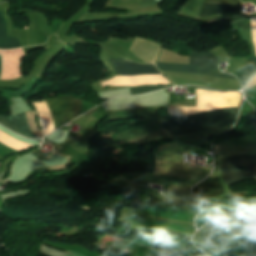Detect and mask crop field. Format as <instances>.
I'll return each instance as SVG.
<instances>
[{
	"instance_id": "8a807250",
	"label": "crop field",
	"mask_w": 256,
	"mask_h": 256,
	"mask_svg": "<svg viewBox=\"0 0 256 256\" xmlns=\"http://www.w3.org/2000/svg\"><path fill=\"white\" fill-rule=\"evenodd\" d=\"M237 108H219L178 119H163L162 126L170 135L189 134L201 130L231 125L235 119Z\"/></svg>"
},
{
	"instance_id": "ac0d7876",
	"label": "crop field",
	"mask_w": 256,
	"mask_h": 256,
	"mask_svg": "<svg viewBox=\"0 0 256 256\" xmlns=\"http://www.w3.org/2000/svg\"><path fill=\"white\" fill-rule=\"evenodd\" d=\"M218 63H219V59L208 52L198 53V52L192 51L190 54V64L216 67ZM156 66L160 70L181 71V72H191V73H197V69H198V66L161 63V62H157ZM213 67L199 66L198 73L208 75V76H214V77L235 79L233 76L221 73L219 72L218 68H213Z\"/></svg>"
},
{
	"instance_id": "34b2d1b8",
	"label": "crop field",
	"mask_w": 256,
	"mask_h": 256,
	"mask_svg": "<svg viewBox=\"0 0 256 256\" xmlns=\"http://www.w3.org/2000/svg\"><path fill=\"white\" fill-rule=\"evenodd\" d=\"M217 149V146H216ZM216 153V150H215ZM254 166H256V155H253ZM243 167L240 171L237 167ZM221 180L227 186L244 179H252L253 161L252 155L220 158Z\"/></svg>"
},
{
	"instance_id": "412701ff",
	"label": "crop field",
	"mask_w": 256,
	"mask_h": 256,
	"mask_svg": "<svg viewBox=\"0 0 256 256\" xmlns=\"http://www.w3.org/2000/svg\"><path fill=\"white\" fill-rule=\"evenodd\" d=\"M50 108V114L55 128L60 127L80 115L82 100L73 95L45 100Z\"/></svg>"
},
{
	"instance_id": "f4fd0767",
	"label": "crop field",
	"mask_w": 256,
	"mask_h": 256,
	"mask_svg": "<svg viewBox=\"0 0 256 256\" xmlns=\"http://www.w3.org/2000/svg\"><path fill=\"white\" fill-rule=\"evenodd\" d=\"M117 74H155L160 73L155 66L134 63L125 59H110Z\"/></svg>"
},
{
	"instance_id": "dd49c442",
	"label": "crop field",
	"mask_w": 256,
	"mask_h": 256,
	"mask_svg": "<svg viewBox=\"0 0 256 256\" xmlns=\"http://www.w3.org/2000/svg\"><path fill=\"white\" fill-rule=\"evenodd\" d=\"M204 3L241 4L239 0H205ZM242 5L204 4L199 17L241 12Z\"/></svg>"
},
{
	"instance_id": "e52e79f7",
	"label": "crop field",
	"mask_w": 256,
	"mask_h": 256,
	"mask_svg": "<svg viewBox=\"0 0 256 256\" xmlns=\"http://www.w3.org/2000/svg\"><path fill=\"white\" fill-rule=\"evenodd\" d=\"M0 122L22 136L35 139L34 134L27 125V117L25 112L9 117L0 116Z\"/></svg>"
},
{
	"instance_id": "d8731c3e",
	"label": "crop field",
	"mask_w": 256,
	"mask_h": 256,
	"mask_svg": "<svg viewBox=\"0 0 256 256\" xmlns=\"http://www.w3.org/2000/svg\"><path fill=\"white\" fill-rule=\"evenodd\" d=\"M193 193L199 196L211 198L223 194L224 191L218 178H207L195 187Z\"/></svg>"
},
{
	"instance_id": "5a996713",
	"label": "crop field",
	"mask_w": 256,
	"mask_h": 256,
	"mask_svg": "<svg viewBox=\"0 0 256 256\" xmlns=\"http://www.w3.org/2000/svg\"><path fill=\"white\" fill-rule=\"evenodd\" d=\"M0 35H6V23L2 12H0ZM20 47L18 39L9 36H0V49H11Z\"/></svg>"
},
{
	"instance_id": "3316defc",
	"label": "crop field",
	"mask_w": 256,
	"mask_h": 256,
	"mask_svg": "<svg viewBox=\"0 0 256 256\" xmlns=\"http://www.w3.org/2000/svg\"><path fill=\"white\" fill-rule=\"evenodd\" d=\"M231 202V200H227V199H222L212 205H210L209 207H207L204 211H202L196 218L195 223H196V227L200 228L203 224H205L208 220H210L209 217V212H211L212 210L219 208L227 203Z\"/></svg>"
},
{
	"instance_id": "28ad6ade",
	"label": "crop field",
	"mask_w": 256,
	"mask_h": 256,
	"mask_svg": "<svg viewBox=\"0 0 256 256\" xmlns=\"http://www.w3.org/2000/svg\"><path fill=\"white\" fill-rule=\"evenodd\" d=\"M256 69V57L255 58H249V62L247 63V65L242 68L237 74L236 76L238 77V79L240 80V82L242 83L247 76L254 70Z\"/></svg>"
},
{
	"instance_id": "d1516ede",
	"label": "crop field",
	"mask_w": 256,
	"mask_h": 256,
	"mask_svg": "<svg viewBox=\"0 0 256 256\" xmlns=\"http://www.w3.org/2000/svg\"><path fill=\"white\" fill-rule=\"evenodd\" d=\"M172 86H167V87H158V86H140V87H134L130 88L131 95L132 94H141L144 92L152 91V90H157V89H163V88H168Z\"/></svg>"
},
{
	"instance_id": "22f410ed",
	"label": "crop field",
	"mask_w": 256,
	"mask_h": 256,
	"mask_svg": "<svg viewBox=\"0 0 256 256\" xmlns=\"http://www.w3.org/2000/svg\"><path fill=\"white\" fill-rule=\"evenodd\" d=\"M161 1L162 0H142V7L150 5V4H157V3L161 2Z\"/></svg>"
},
{
	"instance_id": "cbeb9de0",
	"label": "crop field",
	"mask_w": 256,
	"mask_h": 256,
	"mask_svg": "<svg viewBox=\"0 0 256 256\" xmlns=\"http://www.w3.org/2000/svg\"><path fill=\"white\" fill-rule=\"evenodd\" d=\"M48 157V156H47Z\"/></svg>"
},
{
	"instance_id": "5142ce71",
	"label": "crop field",
	"mask_w": 256,
	"mask_h": 256,
	"mask_svg": "<svg viewBox=\"0 0 256 256\" xmlns=\"http://www.w3.org/2000/svg\"><path fill=\"white\" fill-rule=\"evenodd\" d=\"M69 125V124H68Z\"/></svg>"
}]
</instances>
